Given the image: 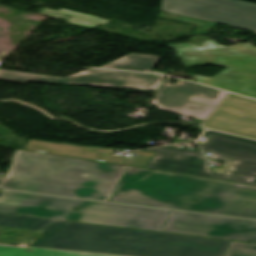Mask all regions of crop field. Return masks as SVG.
Wrapping results in <instances>:
<instances>
[{
    "label": "crop field",
    "instance_id": "8a807250",
    "mask_svg": "<svg viewBox=\"0 0 256 256\" xmlns=\"http://www.w3.org/2000/svg\"><path fill=\"white\" fill-rule=\"evenodd\" d=\"M110 201L256 219V187L128 167Z\"/></svg>",
    "mask_w": 256,
    "mask_h": 256
},
{
    "label": "crop field",
    "instance_id": "ac0d7876",
    "mask_svg": "<svg viewBox=\"0 0 256 256\" xmlns=\"http://www.w3.org/2000/svg\"><path fill=\"white\" fill-rule=\"evenodd\" d=\"M30 247L125 256H224L230 242L57 221Z\"/></svg>",
    "mask_w": 256,
    "mask_h": 256
},
{
    "label": "crop field",
    "instance_id": "34b2d1b8",
    "mask_svg": "<svg viewBox=\"0 0 256 256\" xmlns=\"http://www.w3.org/2000/svg\"><path fill=\"white\" fill-rule=\"evenodd\" d=\"M126 169L17 150L0 188L109 201Z\"/></svg>",
    "mask_w": 256,
    "mask_h": 256
},
{
    "label": "crop field",
    "instance_id": "412701ff",
    "mask_svg": "<svg viewBox=\"0 0 256 256\" xmlns=\"http://www.w3.org/2000/svg\"><path fill=\"white\" fill-rule=\"evenodd\" d=\"M0 212L161 231L171 211L1 190Z\"/></svg>",
    "mask_w": 256,
    "mask_h": 256
},
{
    "label": "crop field",
    "instance_id": "f4fd0767",
    "mask_svg": "<svg viewBox=\"0 0 256 256\" xmlns=\"http://www.w3.org/2000/svg\"><path fill=\"white\" fill-rule=\"evenodd\" d=\"M204 151L212 152L209 159L230 163L223 176L210 174L209 165L202 152L170 146L143 150L157 153L146 168L214 178L256 186V141L212 130Z\"/></svg>",
    "mask_w": 256,
    "mask_h": 256
},
{
    "label": "crop field",
    "instance_id": "dd49c442",
    "mask_svg": "<svg viewBox=\"0 0 256 256\" xmlns=\"http://www.w3.org/2000/svg\"><path fill=\"white\" fill-rule=\"evenodd\" d=\"M161 10L256 34V4L239 0H162Z\"/></svg>",
    "mask_w": 256,
    "mask_h": 256
},
{
    "label": "crop field",
    "instance_id": "e52e79f7",
    "mask_svg": "<svg viewBox=\"0 0 256 256\" xmlns=\"http://www.w3.org/2000/svg\"><path fill=\"white\" fill-rule=\"evenodd\" d=\"M228 93L179 80L163 82L151 104L157 109L205 120Z\"/></svg>",
    "mask_w": 256,
    "mask_h": 256
},
{
    "label": "crop field",
    "instance_id": "d8731c3e",
    "mask_svg": "<svg viewBox=\"0 0 256 256\" xmlns=\"http://www.w3.org/2000/svg\"><path fill=\"white\" fill-rule=\"evenodd\" d=\"M163 77V75L154 74L89 69L64 78H59L0 70V79L8 81L27 83L30 80H36L63 85L78 84L146 90H156Z\"/></svg>",
    "mask_w": 256,
    "mask_h": 256
},
{
    "label": "crop field",
    "instance_id": "5a996713",
    "mask_svg": "<svg viewBox=\"0 0 256 256\" xmlns=\"http://www.w3.org/2000/svg\"><path fill=\"white\" fill-rule=\"evenodd\" d=\"M163 231L256 242V220L172 211Z\"/></svg>",
    "mask_w": 256,
    "mask_h": 256
},
{
    "label": "crop field",
    "instance_id": "3316defc",
    "mask_svg": "<svg viewBox=\"0 0 256 256\" xmlns=\"http://www.w3.org/2000/svg\"><path fill=\"white\" fill-rule=\"evenodd\" d=\"M167 46L175 50L185 67L256 59V47L251 43L224 47L208 36H192L189 43Z\"/></svg>",
    "mask_w": 256,
    "mask_h": 256
},
{
    "label": "crop field",
    "instance_id": "28ad6ade",
    "mask_svg": "<svg viewBox=\"0 0 256 256\" xmlns=\"http://www.w3.org/2000/svg\"><path fill=\"white\" fill-rule=\"evenodd\" d=\"M204 126L256 138V100L230 94Z\"/></svg>",
    "mask_w": 256,
    "mask_h": 256
},
{
    "label": "crop field",
    "instance_id": "d1516ede",
    "mask_svg": "<svg viewBox=\"0 0 256 256\" xmlns=\"http://www.w3.org/2000/svg\"><path fill=\"white\" fill-rule=\"evenodd\" d=\"M216 66L227 69L212 78L194 74L192 76L197 82L256 98V61L216 64Z\"/></svg>",
    "mask_w": 256,
    "mask_h": 256
},
{
    "label": "crop field",
    "instance_id": "22f410ed",
    "mask_svg": "<svg viewBox=\"0 0 256 256\" xmlns=\"http://www.w3.org/2000/svg\"><path fill=\"white\" fill-rule=\"evenodd\" d=\"M159 58L160 56L129 54L123 58H120L114 62H111L98 68L123 69L149 73L167 74V72L164 71L152 70L157 61L159 60Z\"/></svg>",
    "mask_w": 256,
    "mask_h": 256
},
{
    "label": "crop field",
    "instance_id": "cbeb9de0",
    "mask_svg": "<svg viewBox=\"0 0 256 256\" xmlns=\"http://www.w3.org/2000/svg\"><path fill=\"white\" fill-rule=\"evenodd\" d=\"M0 256H112L92 253L46 250L37 248H20L9 245H0Z\"/></svg>",
    "mask_w": 256,
    "mask_h": 256
},
{
    "label": "crop field",
    "instance_id": "5142ce71",
    "mask_svg": "<svg viewBox=\"0 0 256 256\" xmlns=\"http://www.w3.org/2000/svg\"><path fill=\"white\" fill-rule=\"evenodd\" d=\"M39 12L46 15L53 16V17H57V18L62 17L67 22H71L77 25L86 26L90 28H95L98 25H107L111 22V20L100 19L96 16L79 13V12L68 11L64 9L55 11L52 9L41 8L39 9ZM68 16H71L73 18H69Z\"/></svg>",
    "mask_w": 256,
    "mask_h": 256
},
{
    "label": "crop field",
    "instance_id": "d9b57169",
    "mask_svg": "<svg viewBox=\"0 0 256 256\" xmlns=\"http://www.w3.org/2000/svg\"><path fill=\"white\" fill-rule=\"evenodd\" d=\"M54 220L0 214V226L40 230Z\"/></svg>",
    "mask_w": 256,
    "mask_h": 256
},
{
    "label": "crop field",
    "instance_id": "733c2abd",
    "mask_svg": "<svg viewBox=\"0 0 256 256\" xmlns=\"http://www.w3.org/2000/svg\"><path fill=\"white\" fill-rule=\"evenodd\" d=\"M36 232L35 230L0 227V244L15 245Z\"/></svg>",
    "mask_w": 256,
    "mask_h": 256
},
{
    "label": "crop field",
    "instance_id": "4a817a6b",
    "mask_svg": "<svg viewBox=\"0 0 256 256\" xmlns=\"http://www.w3.org/2000/svg\"><path fill=\"white\" fill-rule=\"evenodd\" d=\"M158 16L196 25L197 27H196L193 35L198 34V33L207 34V32L216 25L214 23L200 21V20H196V19H192V18H188V17H184V16H179V15H175V14H170V13H166V12H162V11H159Z\"/></svg>",
    "mask_w": 256,
    "mask_h": 256
},
{
    "label": "crop field",
    "instance_id": "bc2a9ffb",
    "mask_svg": "<svg viewBox=\"0 0 256 256\" xmlns=\"http://www.w3.org/2000/svg\"><path fill=\"white\" fill-rule=\"evenodd\" d=\"M225 256H256V245L232 242Z\"/></svg>",
    "mask_w": 256,
    "mask_h": 256
},
{
    "label": "crop field",
    "instance_id": "214f88e0",
    "mask_svg": "<svg viewBox=\"0 0 256 256\" xmlns=\"http://www.w3.org/2000/svg\"><path fill=\"white\" fill-rule=\"evenodd\" d=\"M47 232H42V231H39L37 232L36 234H34L33 236H31L30 238L16 244V245H21V246H28L30 245L31 243L35 242L36 240H38L39 238H41L42 236L46 235Z\"/></svg>",
    "mask_w": 256,
    "mask_h": 256
},
{
    "label": "crop field",
    "instance_id": "92a150f3",
    "mask_svg": "<svg viewBox=\"0 0 256 256\" xmlns=\"http://www.w3.org/2000/svg\"><path fill=\"white\" fill-rule=\"evenodd\" d=\"M2 176H0V180H1Z\"/></svg>",
    "mask_w": 256,
    "mask_h": 256
}]
</instances>
